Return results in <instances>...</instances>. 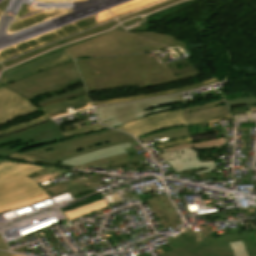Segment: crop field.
I'll use <instances>...</instances> for the list:
<instances>
[{
	"label": "crop field",
	"instance_id": "obj_1",
	"mask_svg": "<svg viewBox=\"0 0 256 256\" xmlns=\"http://www.w3.org/2000/svg\"><path fill=\"white\" fill-rule=\"evenodd\" d=\"M154 53L76 60L88 92L137 85L139 89L198 76V69L174 76Z\"/></svg>",
	"mask_w": 256,
	"mask_h": 256
},
{
	"label": "crop field",
	"instance_id": "obj_2",
	"mask_svg": "<svg viewBox=\"0 0 256 256\" xmlns=\"http://www.w3.org/2000/svg\"><path fill=\"white\" fill-rule=\"evenodd\" d=\"M131 141H135V139L127 134L121 133L119 131L108 130L56 142L53 144L46 145L44 147L22 152V154L41 158L33 163L72 168L73 166L62 165L58 164L57 162L67 160L72 157L92 152L95 150H99L102 148L123 144ZM128 156V153L116 155L100 159L88 164H84L75 168L82 169L93 164L98 165Z\"/></svg>",
	"mask_w": 256,
	"mask_h": 256
},
{
	"label": "crop field",
	"instance_id": "obj_3",
	"mask_svg": "<svg viewBox=\"0 0 256 256\" xmlns=\"http://www.w3.org/2000/svg\"><path fill=\"white\" fill-rule=\"evenodd\" d=\"M167 49L123 32H111L66 49L75 58L113 56Z\"/></svg>",
	"mask_w": 256,
	"mask_h": 256
},
{
	"label": "crop field",
	"instance_id": "obj_4",
	"mask_svg": "<svg viewBox=\"0 0 256 256\" xmlns=\"http://www.w3.org/2000/svg\"><path fill=\"white\" fill-rule=\"evenodd\" d=\"M183 102L182 96L157 98L116 106L97 108L100 121L112 128L146 115L160 111H168L179 108L178 103Z\"/></svg>",
	"mask_w": 256,
	"mask_h": 256
},
{
	"label": "crop field",
	"instance_id": "obj_5",
	"mask_svg": "<svg viewBox=\"0 0 256 256\" xmlns=\"http://www.w3.org/2000/svg\"><path fill=\"white\" fill-rule=\"evenodd\" d=\"M74 61L31 75L4 87L29 99L59 89L58 86L80 79Z\"/></svg>",
	"mask_w": 256,
	"mask_h": 256
},
{
	"label": "crop field",
	"instance_id": "obj_6",
	"mask_svg": "<svg viewBox=\"0 0 256 256\" xmlns=\"http://www.w3.org/2000/svg\"><path fill=\"white\" fill-rule=\"evenodd\" d=\"M66 139L54 120L0 137V158Z\"/></svg>",
	"mask_w": 256,
	"mask_h": 256
},
{
	"label": "crop field",
	"instance_id": "obj_7",
	"mask_svg": "<svg viewBox=\"0 0 256 256\" xmlns=\"http://www.w3.org/2000/svg\"><path fill=\"white\" fill-rule=\"evenodd\" d=\"M45 166L34 165L0 179V207L29 200L45 194L38 184L25 175Z\"/></svg>",
	"mask_w": 256,
	"mask_h": 256
},
{
	"label": "crop field",
	"instance_id": "obj_8",
	"mask_svg": "<svg viewBox=\"0 0 256 256\" xmlns=\"http://www.w3.org/2000/svg\"><path fill=\"white\" fill-rule=\"evenodd\" d=\"M229 117L231 116L229 113H227L215 116L184 120L181 109H176L173 111L160 112L151 116L143 117L141 119L117 127L116 129H120L129 132L135 136H138L141 134H145L147 132H152L161 128L177 126L180 124H194L200 122L213 121L217 119H225Z\"/></svg>",
	"mask_w": 256,
	"mask_h": 256
},
{
	"label": "crop field",
	"instance_id": "obj_9",
	"mask_svg": "<svg viewBox=\"0 0 256 256\" xmlns=\"http://www.w3.org/2000/svg\"><path fill=\"white\" fill-rule=\"evenodd\" d=\"M162 157L173 167L174 172H180L198 167H203L204 171L189 173L186 175L215 171L214 161L200 162L197 156L196 148L194 147L181 149L172 153L162 154Z\"/></svg>",
	"mask_w": 256,
	"mask_h": 256
},
{
	"label": "crop field",
	"instance_id": "obj_10",
	"mask_svg": "<svg viewBox=\"0 0 256 256\" xmlns=\"http://www.w3.org/2000/svg\"><path fill=\"white\" fill-rule=\"evenodd\" d=\"M35 110L37 109L30 101L4 87L0 88V124Z\"/></svg>",
	"mask_w": 256,
	"mask_h": 256
},
{
	"label": "crop field",
	"instance_id": "obj_11",
	"mask_svg": "<svg viewBox=\"0 0 256 256\" xmlns=\"http://www.w3.org/2000/svg\"><path fill=\"white\" fill-rule=\"evenodd\" d=\"M71 60L70 56L63 50L59 53L53 54L51 56L40 59L36 62L24 65L17 69L8 71L5 73L4 77L0 80V85L6 84L7 82L16 80L21 77L38 72L47 67L59 64L61 62Z\"/></svg>",
	"mask_w": 256,
	"mask_h": 256
},
{
	"label": "crop field",
	"instance_id": "obj_12",
	"mask_svg": "<svg viewBox=\"0 0 256 256\" xmlns=\"http://www.w3.org/2000/svg\"><path fill=\"white\" fill-rule=\"evenodd\" d=\"M150 208L158 218L163 228L170 227L172 231L182 222H179L175 211L165 198L164 195H159L146 200Z\"/></svg>",
	"mask_w": 256,
	"mask_h": 256
},
{
	"label": "crop field",
	"instance_id": "obj_13",
	"mask_svg": "<svg viewBox=\"0 0 256 256\" xmlns=\"http://www.w3.org/2000/svg\"><path fill=\"white\" fill-rule=\"evenodd\" d=\"M160 256H233V253L228 243H222L189 247Z\"/></svg>",
	"mask_w": 256,
	"mask_h": 256
},
{
	"label": "crop field",
	"instance_id": "obj_14",
	"mask_svg": "<svg viewBox=\"0 0 256 256\" xmlns=\"http://www.w3.org/2000/svg\"><path fill=\"white\" fill-rule=\"evenodd\" d=\"M89 107H92V105L88 99V95L85 94L80 97L48 105L42 109L45 115L47 114L50 117L55 118Z\"/></svg>",
	"mask_w": 256,
	"mask_h": 256
},
{
	"label": "crop field",
	"instance_id": "obj_15",
	"mask_svg": "<svg viewBox=\"0 0 256 256\" xmlns=\"http://www.w3.org/2000/svg\"><path fill=\"white\" fill-rule=\"evenodd\" d=\"M214 83H218L216 78H214L212 80L204 81L202 83L193 84L191 86H187V87L171 90V91H166V92H161V93H154V94H148V95L131 96V97L113 99V100H108V101H98V102H93V105L94 106H99V105H106V104H114V103L135 101V100H140V99L149 98V97L172 95V94L189 91V90H192V89H195V88H198V87H202V86H206V85H210V84H214Z\"/></svg>",
	"mask_w": 256,
	"mask_h": 256
},
{
	"label": "crop field",
	"instance_id": "obj_16",
	"mask_svg": "<svg viewBox=\"0 0 256 256\" xmlns=\"http://www.w3.org/2000/svg\"><path fill=\"white\" fill-rule=\"evenodd\" d=\"M128 147H131L130 143L103 149V150H99V151H95L92 153H88L85 155L75 157L73 159H70V160H67L64 162H60V163L78 166V165L88 163V162H91V161H94V160H97V159H100L103 157L124 153V152H126L124 148H128Z\"/></svg>",
	"mask_w": 256,
	"mask_h": 256
},
{
	"label": "crop field",
	"instance_id": "obj_17",
	"mask_svg": "<svg viewBox=\"0 0 256 256\" xmlns=\"http://www.w3.org/2000/svg\"><path fill=\"white\" fill-rule=\"evenodd\" d=\"M136 36L163 44L165 46H168L169 48L174 47V46H181L185 45L176 39H174L171 35H165L161 33H155V32H137V33H132Z\"/></svg>",
	"mask_w": 256,
	"mask_h": 256
},
{
	"label": "crop field",
	"instance_id": "obj_18",
	"mask_svg": "<svg viewBox=\"0 0 256 256\" xmlns=\"http://www.w3.org/2000/svg\"><path fill=\"white\" fill-rule=\"evenodd\" d=\"M68 190L72 196L81 193L87 188L81 183L77 184L75 179L68 181L66 183H63L61 185H58L56 187L50 188L48 190H45V192L49 195V197L57 195L59 193H62L64 191ZM88 191V190H87Z\"/></svg>",
	"mask_w": 256,
	"mask_h": 256
},
{
	"label": "crop field",
	"instance_id": "obj_19",
	"mask_svg": "<svg viewBox=\"0 0 256 256\" xmlns=\"http://www.w3.org/2000/svg\"><path fill=\"white\" fill-rule=\"evenodd\" d=\"M104 207H107V205H106L105 201L102 199V200H99L97 202L72 209L70 211L65 212L64 214L67 216V218L69 220H71V219H74L76 217L83 216L84 214H88L90 212H93L97 209L104 208Z\"/></svg>",
	"mask_w": 256,
	"mask_h": 256
},
{
	"label": "crop field",
	"instance_id": "obj_20",
	"mask_svg": "<svg viewBox=\"0 0 256 256\" xmlns=\"http://www.w3.org/2000/svg\"><path fill=\"white\" fill-rule=\"evenodd\" d=\"M173 250L182 249L193 245L208 244L207 239L204 238V242H195V234L186 237H175L167 240Z\"/></svg>",
	"mask_w": 256,
	"mask_h": 256
},
{
	"label": "crop field",
	"instance_id": "obj_21",
	"mask_svg": "<svg viewBox=\"0 0 256 256\" xmlns=\"http://www.w3.org/2000/svg\"><path fill=\"white\" fill-rule=\"evenodd\" d=\"M227 112H229V111L225 104L222 106H215L213 108H206V109H201V110L194 111V112L185 113L183 115H184L185 119H188V118L215 115V114H221V113H227Z\"/></svg>",
	"mask_w": 256,
	"mask_h": 256
},
{
	"label": "crop field",
	"instance_id": "obj_22",
	"mask_svg": "<svg viewBox=\"0 0 256 256\" xmlns=\"http://www.w3.org/2000/svg\"><path fill=\"white\" fill-rule=\"evenodd\" d=\"M220 145H224V138L209 140V141L200 142V143H192V144H185V145L171 147V148L165 149L166 150L165 153L175 151V150H178V149H181L184 147H188V146H194L196 148H205V147H216V146H220Z\"/></svg>",
	"mask_w": 256,
	"mask_h": 256
},
{
	"label": "crop field",
	"instance_id": "obj_23",
	"mask_svg": "<svg viewBox=\"0 0 256 256\" xmlns=\"http://www.w3.org/2000/svg\"><path fill=\"white\" fill-rule=\"evenodd\" d=\"M28 165L30 164L7 161L0 165V178L8 174H11L15 171H18Z\"/></svg>",
	"mask_w": 256,
	"mask_h": 256
},
{
	"label": "crop field",
	"instance_id": "obj_24",
	"mask_svg": "<svg viewBox=\"0 0 256 256\" xmlns=\"http://www.w3.org/2000/svg\"><path fill=\"white\" fill-rule=\"evenodd\" d=\"M249 256H256V233L240 234Z\"/></svg>",
	"mask_w": 256,
	"mask_h": 256
},
{
	"label": "crop field",
	"instance_id": "obj_25",
	"mask_svg": "<svg viewBox=\"0 0 256 256\" xmlns=\"http://www.w3.org/2000/svg\"><path fill=\"white\" fill-rule=\"evenodd\" d=\"M47 119H50V117L46 115V116H42V117H39L37 119L28 121V122L23 123V124L14 125V126L8 128V129L0 131V135L7 134L9 132H12V131H15V130H18V129H21V128H24V127H27V126H30V125H33L35 123H38V122H41V121H44V120H47Z\"/></svg>",
	"mask_w": 256,
	"mask_h": 256
},
{
	"label": "crop field",
	"instance_id": "obj_26",
	"mask_svg": "<svg viewBox=\"0 0 256 256\" xmlns=\"http://www.w3.org/2000/svg\"><path fill=\"white\" fill-rule=\"evenodd\" d=\"M48 198H49L48 195L45 194V195H42L40 197L31 199V200L23 202V203H19V204L11 205V206H8V207L0 208V213L11 211V210L17 209L19 207L29 205V204H32V203H35V202H38V201H42V200H45V199H48Z\"/></svg>",
	"mask_w": 256,
	"mask_h": 256
},
{
	"label": "crop field",
	"instance_id": "obj_27",
	"mask_svg": "<svg viewBox=\"0 0 256 256\" xmlns=\"http://www.w3.org/2000/svg\"><path fill=\"white\" fill-rule=\"evenodd\" d=\"M102 128H105V127H102L99 124L90 125V126H87V127L71 130V131H68V132H64V135H65V137H68V136L81 134V133H85V132H89V131H94V130H98V129H102Z\"/></svg>",
	"mask_w": 256,
	"mask_h": 256
},
{
	"label": "crop field",
	"instance_id": "obj_28",
	"mask_svg": "<svg viewBox=\"0 0 256 256\" xmlns=\"http://www.w3.org/2000/svg\"><path fill=\"white\" fill-rule=\"evenodd\" d=\"M229 244L234 252V256H248L242 241Z\"/></svg>",
	"mask_w": 256,
	"mask_h": 256
},
{
	"label": "crop field",
	"instance_id": "obj_29",
	"mask_svg": "<svg viewBox=\"0 0 256 256\" xmlns=\"http://www.w3.org/2000/svg\"><path fill=\"white\" fill-rule=\"evenodd\" d=\"M225 104L223 99L220 100H216L210 103H206V104H201V105H197V106H193V107H187V108H183V113L184 112H188V111H193V110H197V109H201V108H206V107H213L215 105H222Z\"/></svg>",
	"mask_w": 256,
	"mask_h": 256
},
{
	"label": "crop field",
	"instance_id": "obj_30",
	"mask_svg": "<svg viewBox=\"0 0 256 256\" xmlns=\"http://www.w3.org/2000/svg\"><path fill=\"white\" fill-rule=\"evenodd\" d=\"M239 240H241L239 234L223 236L219 239H208L209 244L221 243V242H235V241H239Z\"/></svg>",
	"mask_w": 256,
	"mask_h": 256
},
{
	"label": "crop field",
	"instance_id": "obj_31",
	"mask_svg": "<svg viewBox=\"0 0 256 256\" xmlns=\"http://www.w3.org/2000/svg\"><path fill=\"white\" fill-rule=\"evenodd\" d=\"M85 90H86L85 87L73 89V90L64 92V93H62L60 95H55L53 97H50V98H47V99H44V100H40V101H38V104L46 102V101H50V100H53V99L61 98V97H64V96H68V95H71V94H75V93H78V92H81V91H85Z\"/></svg>",
	"mask_w": 256,
	"mask_h": 256
},
{
	"label": "crop field",
	"instance_id": "obj_32",
	"mask_svg": "<svg viewBox=\"0 0 256 256\" xmlns=\"http://www.w3.org/2000/svg\"><path fill=\"white\" fill-rule=\"evenodd\" d=\"M228 106H235V105H242V104H248V103H255L256 98L250 97V98H242V99H235L231 101H226Z\"/></svg>",
	"mask_w": 256,
	"mask_h": 256
},
{
	"label": "crop field",
	"instance_id": "obj_33",
	"mask_svg": "<svg viewBox=\"0 0 256 256\" xmlns=\"http://www.w3.org/2000/svg\"><path fill=\"white\" fill-rule=\"evenodd\" d=\"M187 141H192L191 137H186V138H181V139H178L176 141H173V142H168V143H163V144H160V145H156L155 147L161 149V148H164V147H167V146H170V145H175V144H178V143H182V142H187Z\"/></svg>",
	"mask_w": 256,
	"mask_h": 256
},
{
	"label": "crop field",
	"instance_id": "obj_34",
	"mask_svg": "<svg viewBox=\"0 0 256 256\" xmlns=\"http://www.w3.org/2000/svg\"><path fill=\"white\" fill-rule=\"evenodd\" d=\"M87 93L86 91L85 92H81V93H78V94H75V95H71V96H68V97H64V98H61V99H57V100H53V101H50V102H46V103H43V104H39L38 105V109L45 106V105H48V104H51V103H54V102H58V101H61V100H66V99H69V98H72V97H76V96H79V95H82V94H85Z\"/></svg>",
	"mask_w": 256,
	"mask_h": 256
},
{
	"label": "crop field",
	"instance_id": "obj_35",
	"mask_svg": "<svg viewBox=\"0 0 256 256\" xmlns=\"http://www.w3.org/2000/svg\"><path fill=\"white\" fill-rule=\"evenodd\" d=\"M134 160H138L136 158V156L120 159V160L113 161V162H109V165L112 166V165L121 164V163L129 162V161H134Z\"/></svg>",
	"mask_w": 256,
	"mask_h": 256
},
{
	"label": "crop field",
	"instance_id": "obj_36",
	"mask_svg": "<svg viewBox=\"0 0 256 256\" xmlns=\"http://www.w3.org/2000/svg\"><path fill=\"white\" fill-rule=\"evenodd\" d=\"M203 227V235L206 238H210L208 225H201Z\"/></svg>",
	"mask_w": 256,
	"mask_h": 256
},
{
	"label": "crop field",
	"instance_id": "obj_37",
	"mask_svg": "<svg viewBox=\"0 0 256 256\" xmlns=\"http://www.w3.org/2000/svg\"><path fill=\"white\" fill-rule=\"evenodd\" d=\"M0 250L8 251L1 236H0Z\"/></svg>",
	"mask_w": 256,
	"mask_h": 256
},
{
	"label": "crop field",
	"instance_id": "obj_38",
	"mask_svg": "<svg viewBox=\"0 0 256 256\" xmlns=\"http://www.w3.org/2000/svg\"><path fill=\"white\" fill-rule=\"evenodd\" d=\"M13 255H17V254L0 251V256H13Z\"/></svg>",
	"mask_w": 256,
	"mask_h": 256
},
{
	"label": "crop field",
	"instance_id": "obj_39",
	"mask_svg": "<svg viewBox=\"0 0 256 256\" xmlns=\"http://www.w3.org/2000/svg\"><path fill=\"white\" fill-rule=\"evenodd\" d=\"M2 162H4V161L0 160V163H2Z\"/></svg>",
	"mask_w": 256,
	"mask_h": 256
},
{
	"label": "crop field",
	"instance_id": "obj_40",
	"mask_svg": "<svg viewBox=\"0 0 256 256\" xmlns=\"http://www.w3.org/2000/svg\"><path fill=\"white\" fill-rule=\"evenodd\" d=\"M17 256H20V255H17Z\"/></svg>",
	"mask_w": 256,
	"mask_h": 256
}]
</instances>
